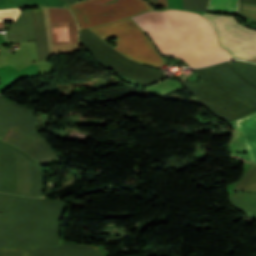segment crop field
<instances>
[{"instance_id":"8a807250","label":"crop field","mask_w":256,"mask_h":256,"mask_svg":"<svg viewBox=\"0 0 256 256\" xmlns=\"http://www.w3.org/2000/svg\"><path fill=\"white\" fill-rule=\"evenodd\" d=\"M132 19L151 36L161 54L180 58L190 67L232 59L227 51L218 46L213 27L197 13L149 11Z\"/></svg>"},{"instance_id":"ac0d7876","label":"crop field","mask_w":256,"mask_h":256,"mask_svg":"<svg viewBox=\"0 0 256 256\" xmlns=\"http://www.w3.org/2000/svg\"><path fill=\"white\" fill-rule=\"evenodd\" d=\"M15 197L0 193V247H8V233L9 247L58 246V221L64 203L48 199Z\"/></svg>"},{"instance_id":"34b2d1b8","label":"crop field","mask_w":256,"mask_h":256,"mask_svg":"<svg viewBox=\"0 0 256 256\" xmlns=\"http://www.w3.org/2000/svg\"><path fill=\"white\" fill-rule=\"evenodd\" d=\"M194 70L203 83L183 82L218 118L229 122L256 111V85L243 78L228 61Z\"/></svg>"},{"instance_id":"412701ff","label":"crop field","mask_w":256,"mask_h":256,"mask_svg":"<svg viewBox=\"0 0 256 256\" xmlns=\"http://www.w3.org/2000/svg\"><path fill=\"white\" fill-rule=\"evenodd\" d=\"M39 164L20 150L0 142V192L40 197Z\"/></svg>"},{"instance_id":"f4fd0767","label":"crop field","mask_w":256,"mask_h":256,"mask_svg":"<svg viewBox=\"0 0 256 256\" xmlns=\"http://www.w3.org/2000/svg\"><path fill=\"white\" fill-rule=\"evenodd\" d=\"M89 29L102 39L113 35L117 39L115 49L133 60L155 67L164 64L154 45L130 18Z\"/></svg>"},{"instance_id":"dd49c442","label":"crop field","mask_w":256,"mask_h":256,"mask_svg":"<svg viewBox=\"0 0 256 256\" xmlns=\"http://www.w3.org/2000/svg\"><path fill=\"white\" fill-rule=\"evenodd\" d=\"M79 29L110 23L152 10L145 0H83L68 5Z\"/></svg>"},{"instance_id":"e52e79f7","label":"crop field","mask_w":256,"mask_h":256,"mask_svg":"<svg viewBox=\"0 0 256 256\" xmlns=\"http://www.w3.org/2000/svg\"><path fill=\"white\" fill-rule=\"evenodd\" d=\"M79 41L102 65L144 86L163 80L160 71L128 60L90 31L80 30Z\"/></svg>"},{"instance_id":"d8731c3e","label":"crop field","mask_w":256,"mask_h":256,"mask_svg":"<svg viewBox=\"0 0 256 256\" xmlns=\"http://www.w3.org/2000/svg\"><path fill=\"white\" fill-rule=\"evenodd\" d=\"M214 26L220 45L237 59L256 57V31L238 24L232 16L202 14ZM226 49V50H227Z\"/></svg>"},{"instance_id":"5a996713","label":"crop field","mask_w":256,"mask_h":256,"mask_svg":"<svg viewBox=\"0 0 256 256\" xmlns=\"http://www.w3.org/2000/svg\"><path fill=\"white\" fill-rule=\"evenodd\" d=\"M9 127L33 138L39 137L34 112L0 96V140Z\"/></svg>"},{"instance_id":"3316defc","label":"crop field","mask_w":256,"mask_h":256,"mask_svg":"<svg viewBox=\"0 0 256 256\" xmlns=\"http://www.w3.org/2000/svg\"><path fill=\"white\" fill-rule=\"evenodd\" d=\"M0 256H104L97 247L65 244L60 247L0 249Z\"/></svg>"},{"instance_id":"28ad6ade","label":"crop field","mask_w":256,"mask_h":256,"mask_svg":"<svg viewBox=\"0 0 256 256\" xmlns=\"http://www.w3.org/2000/svg\"><path fill=\"white\" fill-rule=\"evenodd\" d=\"M51 23L67 22L69 42H53V44L77 43L76 24L67 9L49 8ZM66 23L52 24L54 32H61L62 41H68ZM51 28V31H52ZM52 37V40H53ZM55 41V37H54Z\"/></svg>"},{"instance_id":"d1516ede","label":"crop field","mask_w":256,"mask_h":256,"mask_svg":"<svg viewBox=\"0 0 256 256\" xmlns=\"http://www.w3.org/2000/svg\"><path fill=\"white\" fill-rule=\"evenodd\" d=\"M6 39L10 42L34 40L29 10L22 11L19 18L8 27Z\"/></svg>"},{"instance_id":"22f410ed","label":"crop field","mask_w":256,"mask_h":256,"mask_svg":"<svg viewBox=\"0 0 256 256\" xmlns=\"http://www.w3.org/2000/svg\"><path fill=\"white\" fill-rule=\"evenodd\" d=\"M251 161L256 163V112L237 119Z\"/></svg>"},{"instance_id":"cbeb9de0","label":"crop field","mask_w":256,"mask_h":256,"mask_svg":"<svg viewBox=\"0 0 256 256\" xmlns=\"http://www.w3.org/2000/svg\"><path fill=\"white\" fill-rule=\"evenodd\" d=\"M32 24H33V31L35 37V44H36V51H37V58L38 61L46 60L48 56L47 51V43H46V35L43 23V14L42 9H33L30 10Z\"/></svg>"},{"instance_id":"5142ce71","label":"crop field","mask_w":256,"mask_h":256,"mask_svg":"<svg viewBox=\"0 0 256 256\" xmlns=\"http://www.w3.org/2000/svg\"><path fill=\"white\" fill-rule=\"evenodd\" d=\"M73 2L78 0H72ZM71 0H0V8H16L25 6L67 7Z\"/></svg>"},{"instance_id":"d9b57169","label":"crop field","mask_w":256,"mask_h":256,"mask_svg":"<svg viewBox=\"0 0 256 256\" xmlns=\"http://www.w3.org/2000/svg\"><path fill=\"white\" fill-rule=\"evenodd\" d=\"M206 11L238 15V0H209Z\"/></svg>"},{"instance_id":"733c2abd","label":"crop field","mask_w":256,"mask_h":256,"mask_svg":"<svg viewBox=\"0 0 256 256\" xmlns=\"http://www.w3.org/2000/svg\"><path fill=\"white\" fill-rule=\"evenodd\" d=\"M232 191L256 192V164L251 163L243 178Z\"/></svg>"},{"instance_id":"4a817a6b","label":"crop field","mask_w":256,"mask_h":256,"mask_svg":"<svg viewBox=\"0 0 256 256\" xmlns=\"http://www.w3.org/2000/svg\"><path fill=\"white\" fill-rule=\"evenodd\" d=\"M244 77L256 84V64L235 61L231 63Z\"/></svg>"},{"instance_id":"bc2a9ffb","label":"crop field","mask_w":256,"mask_h":256,"mask_svg":"<svg viewBox=\"0 0 256 256\" xmlns=\"http://www.w3.org/2000/svg\"><path fill=\"white\" fill-rule=\"evenodd\" d=\"M208 0H182L183 9L204 12Z\"/></svg>"},{"instance_id":"214f88e0","label":"crop field","mask_w":256,"mask_h":256,"mask_svg":"<svg viewBox=\"0 0 256 256\" xmlns=\"http://www.w3.org/2000/svg\"><path fill=\"white\" fill-rule=\"evenodd\" d=\"M239 14L247 19L256 20V5L239 3Z\"/></svg>"},{"instance_id":"92a150f3","label":"crop field","mask_w":256,"mask_h":256,"mask_svg":"<svg viewBox=\"0 0 256 256\" xmlns=\"http://www.w3.org/2000/svg\"><path fill=\"white\" fill-rule=\"evenodd\" d=\"M20 9L0 10V21H14L19 14Z\"/></svg>"},{"instance_id":"dafd665d","label":"crop field","mask_w":256,"mask_h":256,"mask_svg":"<svg viewBox=\"0 0 256 256\" xmlns=\"http://www.w3.org/2000/svg\"><path fill=\"white\" fill-rule=\"evenodd\" d=\"M158 6L168 7L166 0H157Z\"/></svg>"},{"instance_id":"00972430","label":"crop field","mask_w":256,"mask_h":256,"mask_svg":"<svg viewBox=\"0 0 256 256\" xmlns=\"http://www.w3.org/2000/svg\"><path fill=\"white\" fill-rule=\"evenodd\" d=\"M241 2L256 4V0H239Z\"/></svg>"},{"instance_id":"a9b5d70f","label":"crop field","mask_w":256,"mask_h":256,"mask_svg":"<svg viewBox=\"0 0 256 256\" xmlns=\"http://www.w3.org/2000/svg\"><path fill=\"white\" fill-rule=\"evenodd\" d=\"M0 28H4V22H0Z\"/></svg>"},{"instance_id":"4177f3b9","label":"crop field","mask_w":256,"mask_h":256,"mask_svg":"<svg viewBox=\"0 0 256 256\" xmlns=\"http://www.w3.org/2000/svg\"><path fill=\"white\" fill-rule=\"evenodd\" d=\"M154 3H155V5L157 6V4H156V0H152Z\"/></svg>"}]
</instances>
